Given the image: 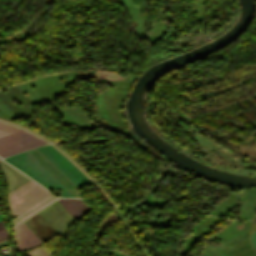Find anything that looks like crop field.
<instances>
[{
  "instance_id": "7",
  "label": "crop field",
  "mask_w": 256,
  "mask_h": 256,
  "mask_svg": "<svg viewBox=\"0 0 256 256\" xmlns=\"http://www.w3.org/2000/svg\"><path fill=\"white\" fill-rule=\"evenodd\" d=\"M58 201L75 219L88 208L80 199H58Z\"/></svg>"
},
{
  "instance_id": "10",
  "label": "crop field",
  "mask_w": 256,
  "mask_h": 256,
  "mask_svg": "<svg viewBox=\"0 0 256 256\" xmlns=\"http://www.w3.org/2000/svg\"><path fill=\"white\" fill-rule=\"evenodd\" d=\"M4 219H3V216H2V214L0 213V221H3Z\"/></svg>"
},
{
  "instance_id": "3",
  "label": "crop field",
  "mask_w": 256,
  "mask_h": 256,
  "mask_svg": "<svg viewBox=\"0 0 256 256\" xmlns=\"http://www.w3.org/2000/svg\"><path fill=\"white\" fill-rule=\"evenodd\" d=\"M44 143L46 142L25 131L12 134L0 138V157L24 151Z\"/></svg>"
},
{
  "instance_id": "2",
  "label": "crop field",
  "mask_w": 256,
  "mask_h": 256,
  "mask_svg": "<svg viewBox=\"0 0 256 256\" xmlns=\"http://www.w3.org/2000/svg\"><path fill=\"white\" fill-rule=\"evenodd\" d=\"M48 195L45 189L31 181L9 194V197L12 209L19 214Z\"/></svg>"
},
{
  "instance_id": "4",
  "label": "crop field",
  "mask_w": 256,
  "mask_h": 256,
  "mask_svg": "<svg viewBox=\"0 0 256 256\" xmlns=\"http://www.w3.org/2000/svg\"><path fill=\"white\" fill-rule=\"evenodd\" d=\"M14 232L17 247L20 251L41 243L23 222L14 227Z\"/></svg>"
},
{
  "instance_id": "8",
  "label": "crop field",
  "mask_w": 256,
  "mask_h": 256,
  "mask_svg": "<svg viewBox=\"0 0 256 256\" xmlns=\"http://www.w3.org/2000/svg\"><path fill=\"white\" fill-rule=\"evenodd\" d=\"M22 131L14 126L0 122V137Z\"/></svg>"
},
{
  "instance_id": "9",
  "label": "crop field",
  "mask_w": 256,
  "mask_h": 256,
  "mask_svg": "<svg viewBox=\"0 0 256 256\" xmlns=\"http://www.w3.org/2000/svg\"><path fill=\"white\" fill-rule=\"evenodd\" d=\"M8 236H9V234H8L7 228L3 229V230H0V239L8 237Z\"/></svg>"
},
{
  "instance_id": "6",
  "label": "crop field",
  "mask_w": 256,
  "mask_h": 256,
  "mask_svg": "<svg viewBox=\"0 0 256 256\" xmlns=\"http://www.w3.org/2000/svg\"><path fill=\"white\" fill-rule=\"evenodd\" d=\"M54 167H56L68 180L76 187L83 186L75 177H73L54 157H52L43 147L36 148ZM69 181V182H70Z\"/></svg>"
},
{
  "instance_id": "1",
  "label": "crop field",
  "mask_w": 256,
  "mask_h": 256,
  "mask_svg": "<svg viewBox=\"0 0 256 256\" xmlns=\"http://www.w3.org/2000/svg\"><path fill=\"white\" fill-rule=\"evenodd\" d=\"M7 162L38 181L48 190L61 189V197L73 196L66 190L53 176H51L37 161H35L27 152L5 158Z\"/></svg>"
},
{
  "instance_id": "5",
  "label": "crop field",
  "mask_w": 256,
  "mask_h": 256,
  "mask_svg": "<svg viewBox=\"0 0 256 256\" xmlns=\"http://www.w3.org/2000/svg\"><path fill=\"white\" fill-rule=\"evenodd\" d=\"M44 148L54 156L72 175H74L83 185L90 184L91 182L88 178L75 167L66 157H64L60 152H58L51 145L44 146Z\"/></svg>"
}]
</instances>
